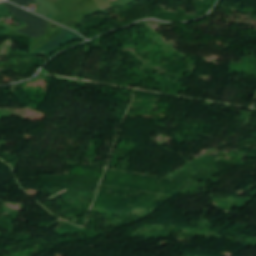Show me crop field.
Segmentation results:
<instances>
[{
    "label": "crop field",
    "instance_id": "3",
    "mask_svg": "<svg viewBox=\"0 0 256 256\" xmlns=\"http://www.w3.org/2000/svg\"><path fill=\"white\" fill-rule=\"evenodd\" d=\"M21 7H23L24 5L28 4L29 2H31L32 0H9Z\"/></svg>",
    "mask_w": 256,
    "mask_h": 256
},
{
    "label": "crop field",
    "instance_id": "1",
    "mask_svg": "<svg viewBox=\"0 0 256 256\" xmlns=\"http://www.w3.org/2000/svg\"><path fill=\"white\" fill-rule=\"evenodd\" d=\"M4 6L8 8V10L16 16L18 19H20L22 22L26 24L27 27L17 29V31L26 34L28 36H31L33 38H39L42 37L45 33L46 26H47V20L28 13L8 2H2Z\"/></svg>",
    "mask_w": 256,
    "mask_h": 256
},
{
    "label": "crop field",
    "instance_id": "5",
    "mask_svg": "<svg viewBox=\"0 0 256 256\" xmlns=\"http://www.w3.org/2000/svg\"><path fill=\"white\" fill-rule=\"evenodd\" d=\"M0 1H2V0H0Z\"/></svg>",
    "mask_w": 256,
    "mask_h": 256
},
{
    "label": "crop field",
    "instance_id": "2",
    "mask_svg": "<svg viewBox=\"0 0 256 256\" xmlns=\"http://www.w3.org/2000/svg\"><path fill=\"white\" fill-rule=\"evenodd\" d=\"M78 38L82 37L64 28L63 31L54 40H52L50 43L46 44L45 46L36 50L33 53L48 55L49 53L55 51L59 46L76 40Z\"/></svg>",
    "mask_w": 256,
    "mask_h": 256
},
{
    "label": "crop field",
    "instance_id": "4",
    "mask_svg": "<svg viewBox=\"0 0 256 256\" xmlns=\"http://www.w3.org/2000/svg\"><path fill=\"white\" fill-rule=\"evenodd\" d=\"M10 13L8 12V10H6L3 5L0 3V17L1 18H4V17H7L9 16Z\"/></svg>",
    "mask_w": 256,
    "mask_h": 256
}]
</instances>
